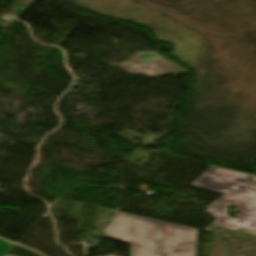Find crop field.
I'll use <instances>...</instances> for the list:
<instances>
[{"label":"crop field","instance_id":"crop-field-2","mask_svg":"<svg viewBox=\"0 0 256 256\" xmlns=\"http://www.w3.org/2000/svg\"><path fill=\"white\" fill-rule=\"evenodd\" d=\"M190 186L223 194L208 205L205 212L216 220L204 231L213 226L226 229H241L256 235V216L239 212L238 219L228 218L227 207L237 206L238 210L256 214V177L218 167H210Z\"/></svg>","mask_w":256,"mask_h":256},{"label":"crop field","instance_id":"crop-field-4","mask_svg":"<svg viewBox=\"0 0 256 256\" xmlns=\"http://www.w3.org/2000/svg\"><path fill=\"white\" fill-rule=\"evenodd\" d=\"M9 256H14V255H9Z\"/></svg>","mask_w":256,"mask_h":256},{"label":"crop field","instance_id":"crop-field-1","mask_svg":"<svg viewBox=\"0 0 256 256\" xmlns=\"http://www.w3.org/2000/svg\"><path fill=\"white\" fill-rule=\"evenodd\" d=\"M197 233L196 229L118 212L105 230L107 238L131 245L130 256H196Z\"/></svg>","mask_w":256,"mask_h":256},{"label":"crop field","instance_id":"crop-field-3","mask_svg":"<svg viewBox=\"0 0 256 256\" xmlns=\"http://www.w3.org/2000/svg\"><path fill=\"white\" fill-rule=\"evenodd\" d=\"M13 244L0 240V256H3Z\"/></svg>","mask_w":256,"mask_h":256}]
</instances>
